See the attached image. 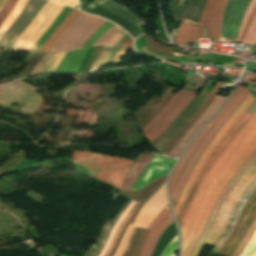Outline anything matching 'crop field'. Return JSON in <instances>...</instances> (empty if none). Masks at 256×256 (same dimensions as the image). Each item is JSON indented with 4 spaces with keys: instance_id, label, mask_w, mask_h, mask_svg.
I'll list each match as a JSON object with an SVG mask.
<instances>
[{
    "instance_id": "8a807250",
    "label": "crop field",
    "mask_w": 256,
    "mask_h": 256,
    "mask_svg": "<svg viewBox=\"0 0 256 256\" xmlns=\"http://www.w3.org/2000/svg\"><path fill=\"white\" fill-rule=\"evenodd\" d=\"M256 124V112L252 116V118L247 122V124L240 130L238 135L235 137V139L231 142V144L226 148V150L223 152V154L220 156V158L217 160V162L214 164V166L211 168L209 173L207 174L202 186L200 187L192 205L188 212V215L180 229L181 235H182V241L188 231L189 225L193 219V216L196 212V209L203 197L204 192L206 191L208 185L214 178V176L217 174V172L220 170V168L223 166L225 161L228 159V157L231 155V153L235 150V148L240 144V142L244 139V137L249 133V131L253 128V126ZM256 137V125L255 127L250 131V133L245 137V139L241 142V144L237 147V149L232 153V155L229 157L227 162L224 164V166L221 168V170L218 172V174L215 176L211 184L209 185L198 209L194 216V219L192 221V224L189 228V231L182 243V250L181 255L186 251L193 235L196 230V227L199 223V220L204 212V209L206 207V204L217 187V185L220 183V181L223 179V177L226 175V173L230 170V168L235 164V162L239 159V157L242 155V153L246 150V148L249 146V144L253 141V139ZM256 150V138L251 143V145L247 148V150L243 153V155L240 157V159L237 161V163L232 167V169L227 173V175L224 177V179L221 181L219 186L214 191L212 197L210 198L207 207L205 209L204 215L198 225V228L195 232V235L193 237L192 242L190 243L187 251L183 256H189L206 221L207 218L211 212V209L223 190V188L226 186V184L229 182V180L234 176V174L240 169V167L246 162V160L251 156V154Z\"/></svg>"
},
{
    "instance_id": "ac0d7876",
    "label": "crop field",
    "mask_w": 256,
    "mask_h": 256,
    "mask_svg": "<svg viewBox=\"0 0 256 256\" xmlns=\"http://www.w3.org/2000/svg\"><path fill=\"white\" fill-rule=\"evenodd\" d=\"M227 0H208L199 24L184 20L176 44L188 46L189 41L219 39L221 18Z\"/></svg>"
},
{
    "instance_id": "34b2d1b8",
    "label": "crop field",
    "mask_w": 256,
    "mask_h": 256,
    "mask_svg": "<svg viewBox=\"0 0 256 256\" xmlns=\"http://www.w3.org/2000/svg\"><path fill=\"white\" fill-rule=\"evenodd\" d=\"M72 163H75L83 168L101 170L97 180H103L120 188L122 179L132 165L133 162L122 160L119 158L84 153L74 152ZM114 186V187H115Z\"/></svg>"
},
{
    "instance_id": "412701ff",
    "label": "crop field",
    "mask_w": 256,
    "mask_h": 256,
    "mask_svg": "<svg viewBox=\"0 0 256 256\" xmlns=\"http://www.w3.org/2000/svg\"><path fill=\"white\" fill-rule=\"evenodd\" d=\"M167 204L164 184L142 207L134 224L128 226L114 256H130L142 227L146 228Z\"/></svg>"
},
{
    "instance_id": "f4fd0767",
    "label": "crop field",
    "mask_w": 256,
    "mask_h": 256,
    "mask_svg": "<svg viewBox=\"0 0 256 256\" xmlns=\"http://www.w3.org/2000/svg\"><path fill=\"white\" fill-rule=\"evenodd\" d=\"M195 94V92L188 90L174 92L165 106L142 128L145 137L153 144L187 107Z\"/></svg>"
},
{
    "instance_id": "dd49c442",
    "label": "crop field",
    "mask_w": 256,
    "mask_h": 256,
    "mask_svg": "<svg viewBox=\"0 0 256 256\" xmlns=\"http://www.w3.org/2000/svg\"><path fill=\"white\" fill-rule=\"evenodd\" d=\"M253 103V102H252ZM247 111L254 114L256 111V100L254 103L247 109ZM252 114L245 111V113L238 119V121L235 123V125L230 129V131L225 135L224 139L221 141V143L218 145V147L214 150V152L210 155L206 163L204 164L202 170L200 171L199 175L197 176L192 189L185 200L179 214L177 215L176 219L178 222L179 229L187 215V212L190 208V205L193 201L194 196L196 195L204 177L210 170V168L213 166V164L216 162V160L219 158L221 153L225 150V148L230 144V142L234 139V137L237 135L239 130L246 124V122L250 119Z\"/></svg>"
},
{
    "instance_id": "e52e79f7",
    "label": "crop field",
    "mask_w": 256,
    "mask_h": 256,
    "mask_svg": "<svg viewBox=\"0 0 256 256\" xmlns=\"http://www.w3.org/2000/svg\"><path fill=\"white\" fill-rule=\"evenodd\" d=\"M106 20L82 13L57 39L50 52L81 48Z\"/></svg>"
},
{
    "instance_id": "d8731c3e",
    "label": "crop field",
    "mask_w": 256,
    "mask_h": 256,
    "mask_svg": "<svg viewBox=\"0 0 256 256\" xmlns=\"http://www.w3.org/2000/svg\"><path fill=\"white\" fill-rule=\"evenodd\" d=\"M249 93L248 89L243 86L239 94L236 96V98L232 101V103L228 106L226 111L223 113V115L219 118V120L215 123V125L207 132V134L204 136L202 141L199 143L195 151L193 152L190 160L188 161L187 165L185 166L178 182L176 183L171 195V203L174 207L179 194L194 166L197 159L199 158L200 154L202 153L203 149L206 147V145L209 143V141L212 139L215 133L220 129V127L223 125V123L226 121V119L230 116V114L234 111V109L240 104V102L245 98V96Z\"/></svg>"
},
{
    "instance_id": "5a996713",
    "label": "crop field",
    "mask_w": 256,
    "mask_h": 256,
    "mask_svg": "<svg viewBox=\"0 0 256 256\" xmlns=\"http://www.w3.org/2000/svg\"><path fill=\"white\" fill-rule=\"evenodd\" d=\"M255 100V98L252 97V95H248L247 98L241 103V105L235 110V112L232 114V116L228 119V121L225 123V125L219 130V132L216 134L214 139L211 141V143L208 145V147L205 149L197 163L195 164L181 194L178 199V202L174 208L175 216L178 214L196 176L198 175L200 169L202 168L203 164L209 157V155L212 153V151L215 149L216 145L223 139L224 135L228 132V130L234 125V123L237 121V119L242 115V113L252 104V102Z\"/></svg>"
},
{
    "instance_id": "3316defc",
    "label": "crop field",
    "mask_w": 256,
    "mask_h": 256,
    "mask_svg": "<svg viewBox=\"0 0 256 256\" xmlns=\"http://www.w3.org/2000/svg\"><path fill=\"white\" fill-rule=\"evenodd\" d=\"M256 218V190L241 210L227 240L216 254L231 256L242 241L247 229Z\"/></svg>"
},
{
    "instance_id": "28ad6ade",
    "label": "crop field",
    "mask_w": 256,
    "mask_h": 256,
    "mask_svg": "<svg viewBox=\"0 0 256 256\" xmlns=\"http://www.w3.org/2000/svg\"><path fill=\"white\" fill-rule=\"evenodd\" d=\"M56 2L48 1L46 5L41 9V11L37 14L34 21L28 26V28L24 31V33L19 37L16 41L15 45L12 49L20 50L21 46L28 39V37L33 33V31L39 26L48 12L53 8ZM64 5L56 4L55 7L49 12L40 26L35 30V32L29 37V39L22 46L21 50L30 51L31 47L36 43L42 33L46 30L49 24L53 21V19L58 15V13L63 9Z\"/></svg>"
},
{
    "instance_id": "d1516ede",
    "label": "crop field",
    "mask_w": 256,
    "mask_h": 256,
    "mask_svg": "<svg viewBox=\"0 0 256 256\" xmlns=\"http://www.w3.org/2000/svg\"><path fill=\"white\" fill-rule=\"evenodd\" d=\"M256 178V165L248 172L245 178H242L240 182L234 187V189L228 195L219 216L211 230V233L206 242L207 245L215 246L218 241L232 211V208L237 198L247 188V186Z\"/></svg>"
},
{
    "instance_id": "22f410ed",
    "label": "crop field",
    "mask_w": 256,
    "mask_h": 256,
    "mask_svg": "<svg viewBox=\"0 0 256 256\" xmlns=\"http://www.w3.org/2000/svg\"><path fill=\"white\" fill-rule=\"evenodd\" d=\"M46 2L47 0H29L17 20L1 37L0 48L11 49L14 42L27 28Z\"/></svg>"
},
{
    "instance_id": "cbeb9de0",
    "label": "crop field",
    "mask_w": 256,
    "mask_h": 256,
    "mask_svg": "<svg viewBox=\"0 0 256 256\" xmlns=\"http://www.w3.org/2000/svg\"><path fill=\"white\" fill-rule=\"evenodd\" d=\"M255 161H256V151L252 154V156L247 160V162L241 167V169L235 174V176L230 180V182L224 188V190L220 194L219 198L217 199V201L212 209V212L208 218V221L201 233V236H200V238L190 256L198 255L203 243L205 242V240L207 239V237L210 233V230H211L213 223L222 207V204H223L225 198L227 197V195L229 194L231 189L242 178V176L250 169V167L254 164Z\"/></svg>"
},
{
    "instance_id": "5142ce71",
    "label": "crop field",
    "mask_w": 256,
    "mask_h": 256,
    "mask_svg": "<svg viewBox=\"0 0 256 256\" xmlns=\"http://www.w3.org/2000/svg\"><path fill=\"white\" fill-rule=\"evenodd\" d=\"M242 86H237L236 90L234 91L233 95L230 97V99L226 102V104L222 107V109L218 112V114L209 122L207 123L204 128L200 131V133L196 136V138L192 141V143L189 145L185 153L182 155L178 163L175 165L171 178L169 183V193L171 192L173 186L175 185L182 169L184 168L186 162L188 161L189 157L191 156L193 150L198 145L204 134L208 131V129L214 124V122L217 120V118L222 114V112L226 109V107L231 103V101L235 98L237 93L240 91Z\"/></svg>"
},
{
    "instance_id": "d9b57169",
    "label": "crop field",
    "mask_w": 256,
    "mask_h": 256,
    "mask_svg": "<svg viewBox=\"0 0 256 256\" xmlns=\"http://www.w3.org/2000/svg\"><path fill=\"white\" fill-rule=\"evenodd\" d=\"M170 212V208L167 205L151 222L147 229L154 231L159 223L165 219ZM172 221L173 219L171 215H169L154 232H149L139 256H151L160 235L165 231Z\"/></svg>"
},
{
    "instance_id": "733c2abd",
    "label": "crop field",
    "mask_w": 256,
    "mask_h": 256,
    "mask_svg": "<svg viewBox=\"0 0 256 256\" xmlns=\"http://www.w3.org/2000/svg\"><path fill=\"white\" fill-rule=\"evenodd\" d=\"M173 162L174 159L155 155L131 190H138L158 177L167 174Z\"/></svg>"
},
{
    "instance_id": "4a817a6b",
    "label": "crop field",
    "mask_w": 256,
    "mask_h": 256,
    "mask_svg": "<svg viewBox=\"0 0 256 256\" xmlns=\"http://www.w3.org/2000/svg\"><path fill=\"white\" fill-rule=\"evenodd\" d=\"M223 100V97H215V99L212 101L207 110L199 117V119L192 125V127L187 131V133L176 144V146L170 151V153L168 154L169 156L178 157V155L180 154L181 150L188 142V140L192 137L196 130L214 114V112L218 109Z\"/></svg>"
},
{
    "instance_id": "bc2a9ffb",
    "label": "crop field",
    "mask_w": 256,
    "mask_h": 256,
    "mask_svg": "<svg viewBox=\"0 0 256 256\" xmlns=\"http://www.w3.org/2000/svg\"><path fill=\"white\" fill-rule=\"evenodd\" d=\"M223 82H217L216 86L212 89L210 94L207 96L203 104L198 108V110L189 118V120L176 132L173 138L161 151L165 155L175 146V144L180 140V138L185 134V132L190 128V126L196 121V119L202 114V112L208 107L211 103L217 92L222 87Z\"/></svg>"
},
{
    "instance_id": "214f88e0",
    "label": "crop field",
    "mask_w": 256,
    "mask_h": 256,
    "mask_svg": "<svg viewBox=\"0 0 256 256\" xmlns=\"http://www.w3.org/2000/svg\"><path fill=\"white\" fill-rule=\"evenodd\" d=\"M154 157V154L144 153L140 154L137 160L134 162L130 170L128 171L125 179L122 182L121 189H129L133 186L136 180L139 178L141 173L144 171L148 163Z\"/></svg>"
},
{
    "instance_id": "92a150f3",
    "label": "crop field",
    "mask_w": 256,
    "mask_h": 256,
    "mask_svg": "<svg viewBox=\"0 0 256 256\" xmlns=\"http://www.w3.org/2000/svg\"><path fill=\"white\" fill-rule=\"evenodd\" d=\"M87 49L88 48L68 52L55 72L76 73Z\"/></svg>"
},
{
    "instance_id": "dafd665d",
    "label": "crop field",
    "mask_w": 256,
    "mask_h": 256,
    "mask_svg": "<svg viewBox=\"0 0 256 256\" xmlns=\"http://www.w3.org/2000/svg\"><path fill=\"white\" fill-rule=\"evenodd\" d=\"M255 5H256V0H251L250 3L248 4V6L245 10L243 19L240 24V28H239V32H238L236 41H239V39L244 31V28L246 26V23L249 19V16H250L251 12L253 11ZM243 42L255 44V42H256V16L254 17L246 35H245Z\"/></svg>"
},
{
    "instance_id": "00972430",
    "label": "crop field",
    "mask_w": 256,
    "mask_h": 256,
    "mask_svg": "<svg viewBox=\"0 0 256 256\" xmlns=\"http://www.w3.org/2000/svg\"><path fill=\"white\" fill-rule=\"evenodd\" d=\"M166 176L154 181L152 184L148 185L147 187L137 191V192H130V191H123L120 194L138 202L144 203L153 192H155L159 186L165 181Z\"/></svg>"
},
{
    "instance_id": "a9b5d70f",
    "label": "crop field",
    "mask_w": 256,
    "mask_h": 256,
    "mask_svg": "<svg viewBox=\"0 0 256 256\" xmlns=\"http://www.w3.org/2000/svg\"><path fill=\"white\" fill-rule=\"evenodd\" d=\"M81 14L80 11L73 9L63 23L56 29L51 37L46 41L40 52H48L52 44L61 35V33Z\"/></svg>"
},
{
    "instance_id": "4177f3b9",
    "label": "crop field",
    "mask_w": 256,
    "mask_h": 256,
    "mask_svg": "<svg viewBox=\"0 0 256 256\" xmlns=\"http://www.w3.org/2000/svg\"><path fill=\"white\" fill-rule=\"evenodd\" d=\"M126 34V32L114 25L93 46L115 45Z\"/></svg>"
},
{
    "instance_id": "730fd06b",
    "label": "crop field",
    "mask_w": 256,
    "mask_h": 256,
    "mask_svg": "<svg viewBox=\"0 0 256 256\" xmlns=\"http://www.w3.org/2000/svg\"><path fill=\"white\" fill-rule=\"evenodd\" d=\"M27 0H19L17 4L14 6L11 13L5 19L4 23L0 27V37L4 34V32L10 27V25L15 21L20 12L22 11Z\"/></svg>"
},
{
    "instance_id": "eef30255",
    "label": "crop field",
    "mask_w": 256,
    "mask_h": 256,
    "mask_svg": "<svg viewBox=\"0 0 256 256\" xmlns=\"http://www.w3.org/2000/svg\"><path fill=\"white\" fill-rule=\"evenodd\" d=\"M143 36L147 41L148 49H150L151 51L164 54V55H171V56H178V57L183 56V55L171 52L172 49L166 48L165 46L154 42L155 40L153 41L149 36L147 35H143Z\"/></svg>"
},
{
    "instance_id": "ae1a2a85",
    "label": "crop field",
    "mask_w": 256,
    "mask_h": 256,
    "mask_svg": "<svg viewBox=\"0 0 256 256\" xmlns=\"http://www.w3.org/2000/svg\"><path fill=\"white\" fill-rule=\"evenodd\" d=\"M113 25L114 24L107 21L89 38V40L84 44L83 47L92 46Z\"/></svg>"
},
{
    "instance_id": "d3111659",
    "label": "crop field",
    "mask_w": 256,
    "mask_h": 256,
    "mask_svg": "<svg viewBox=\"0 0 256 256\" xmlns=\"http://www.w3.org/2000/svg\"><path fill=\"white\" fill-rule=\"evenodd\" d=\"M256 231V219L252 223L250 229L248 230L245 238L241 242L240 246L238 249L235 251V253L232 256H240L241 253L244 251L245 247L247 246L248 242L250 241L251 237L253 236L254 232Z\"/></svg>"
},
{
    "instance_id": "750c4746",
    "label": "crop field",
    "mask_w": 256,
    "mask_h": 256,
    "mask_svg": "<svg viewBox=\"0 0 256 256\" xmlns=\"http://www.w3.org/2000/svg\"><path fill=\"white\" fill-rule=\"evenodd\" d=\"M110 222L107 221L99 239L97 240V242L89 249V251L84 255V256H98V254L101 252L102 248L104 247L103 244H100L108 226H109Z\"/></svg>"
},
{
    "instance_id": "bd1437ed",
    "label": "crop field",
    "mask_w": 256,
    "mask_h": 256,
    "mask_svg": "<svg viewBox=\"0 0 256 256\" xmlns=\"http://www.w3.org/2000/svg\"><path fill=\"white\" fill-rule=\"evenodd\" d=\"M135 209H136V206L133 205L131 210H130V212L127 214V216L125 217L123 222L120 224V226H119L117 232L115 233V235H114V237L112 239V242H111V244H110V246H109V248H108V250H107V252H106V254L104 256H108L109 253L111 252V250L113 249V247L115 245V242H116V239H117V237H118V235L120 233V230L126 224V222L129 220V218L132 216V214L134 213Z\"/></svg>"
},
{
    "instance_id": "1d83c4d3",
    "label": "crop field",
    "mask_w": 256,
    "mask_h": 256,
    "mask_svg": "<svg viewBox=\"0 0 256 256\" xmlns=\"http://www.w3.org/2000/svg\"><path fill=\"white\" fill-rule=\"evenodd\" d=\"M54 54H47L38 64L37 66L31 71L30 75L41 73L42 70L46 67V65L51 61V59L55 56Z\"/></svg>"
},
{
    "instance_id": "120bbe31",
    "label": "crop field",
    "mask_w": 256,
    "mask_h": 256,
    "mask_svg": "<svg viewBox=\"0 0 256 256\" xmlns=\"http://www.w3.org/2000/svg\"><path fill=\"white\" fill-rule=\"evenodd\" d=\"M67 52L65 53H57L56 56L52 59V61L48 64V66L43 70L42 73H47V72H54L58 64L61 62L63 57L66 55Z\"/></svg>"
},
{
    "instance_id": "d32e631a",
    "label": "crop field",
    "mask_w": 256,
    "mask_h": 256,
    "mask_svg": "<svg viewBox=\"0 0 256 256\" xmlns=\"http://www.w3.org/2000/svg\"><path fill=\"white\" fill-rule=\"evenodd\" d=\"M135 205L138 206L137 209H136V211H135V213L133 214V216L130 218V220L127 222V224H126V225L124 226V228L122 229V231H121V233H120V235H119V237H118V239H117L116 245H115L114 249L112 250V252L110 253L109 256H113V254H114V252H115V250H116V248H117V246H118V244H119V242H120V240H121V238H122V236H123V234H124V232H125V230H126L128 224H130V223L133 222V220H134L135 217L137 216V214H138L140 208L142 207V204L137 203V202H135Z\"/></svg>"
},
{
    "instance_id": "5866460e",
    "label": "crop field",
    "mask_w": 256,
    "mask_h": 256,
    "mask_svg": "<svg viewBox=\"0 0 256 256\" xmlns=\"http://www.w3.org/2000/svg\"><path fill=\"white\" fill-rule=\"evenodd\" d=\"M133 203H134V201H131V203L129 204L128 208H127L126 211L124 212V214L121 216V218H120V219L117 221V223L115 224V226H114V228H113V230H112V232H111V234H110V236H109V239H108V241H107V244H106V246L104 247V249L102 250V252L100 253L99 256H103V255H104V253H105V251L107 250V248H108V246H109V244H110V241H111V239H112V237H113V235H114V233H115V231H116L118 225H119L120 222L123 220V218L126 216V214L129 212V210H130L131 206L133 205Z\"/></svg>"
},
{
    "instance_id": "028f5c9d",
    "label": "crop field",
    "mask_w": 256,
    "mask_h": 256,
    "mask_svg": "<svg viewBox=\"0 0 256 256\" xmlns=\"http://www.w3.org/2000/svg\"><path fill=\"white\" fill-rule=\"evenodd\" d=\"M18 0H8L0 12V25L3 23L6 16L9 14L13 6Z\"/></svg>"
},
{
    "instance_id": "e1f06a70",
    "label": "crop field",
    "mask_w": 256,
    "mask_h": 256,
    "mask_svg": "<svg viewBox=\"0 0 256 256\" xmlns=\"http://www.w3.org/2000/svg\"><path fill=\"white\" fill-rule=\"evenodd\" d=\"M241 256H256V232Z\"/></svg>"
},
{
    "instance_id": "0bd39190",
    "label": "crop field",
    "mask_w": 256,
    "mask_h": 256,
    "mask_svg": "<svg viewBox=\"0 0 256 256\" xmlns=\"http://www.w3.org/2000/svg\"><path fill=\"white\" fill-rule=\"evenodd\" d=\"M147 233H148V230H145V229L142 230V232H141V234H140V236H139V238L136 242V245H135V247L132 251L131 256H137L138 255V253H139V251H140V249H141V247L144 243V240L146 238Z\"/></svg>"
},
{
    "instance_id": "b80d0937",
    "label": "crop field",
    "mask_w": 256,
    "mask_h": 256,
    "mask_svg": "<svg viewBox=\"0 0 256 256\" xmlns=\"http://www.w3.org/2000/svg\"><path fill=\"white\" fill-rule=\"evenodd\" d=\"M177 250V236L166 247L161 256H175L173 253Z\"/></svg>"
},
{
    "instance_id": "c035e120",
    "label": "crop field",
    "mask_w": 256,
    "mask_h": 256,
    "mask_svg": "<svg viewBox=\"0 0 256 256\" xmlns=\"http://www.w3.org/2000/svg\"><path fill=\"white\" fill-rule=\"evenodd\" d=\"M126 52H127V50L118 48V50L116 51L115 55H114L113 58L111 59L110 63L118 62L119 59H120Z\"/></svg>"
},
{
    "instance_id": "c21b1889",
    "label": "crop field",
    "mask_w": 256,
    "mask_h": 256,
    "mask_svg": "<svg viewBox=\"0 0 256 256\" xmlns=\"http://www.w3.org/2000/svg\"><path fill=\"white\" fill-rule=\"evenodd\" d=\"M133 45V40L132 38L129 36L127 37L120 45V47H123V48H126L128 50H130V48L132 47Z\"/></svg>"
},
{
    "instance_id": "03da06ac",
    "label": "crop field",
    "mask_w": 256,
    "mask_h": 256,
    "mask_svg": "<svg viewBox=\"0 0 256 256\" xmlns=\"http://www.w3.org/2000/svg\"><path fill=\"white\" fill-rule=\"evenodd\" d=\"M56 2H58L59 0H54ZM70 0H60L59 3H62L64 5H66ZM78 5V0H71L67 6L73 7L75 8Z\"/></svg>"
},
{
    "instance_id": "b54c1fbb",
    "label": "crop field",
    "mask_w": 256,
    "mask_h": 256,
    "mask_svg": "<svg viewBox=\"0 0 256 256\" xmlns=\"http://www.w3.org/2000/svg\"><path fill=\"white\" fill-rule=\"evenodd\" d=\"M255 13H256V8L254 9V11H253V13H252V15H251V17H250L248 23H247V26H246L245 31H244V33H243L241 39H240V42L242 41V39H243V37H244V35H245V33H246V31H247V29H248V27H249L251 21H252V19H253Z\"/></svg>"
},
{
    "instance_id": "5d738f31",
    "label": "crop field",
    "mask_w": 256,
    "mask_h": 256,
    "mask_svg": "<svg viewBox=\"0 0 256 256\" xmlns=\"http://www.w3.org/2000/svg\"><path fill=\"white\" fill-rule=\"evenodd\" d=\"M7 0H0V10L2 9L3 5L5 4Z\"/></svg>"
}]
</instances>
